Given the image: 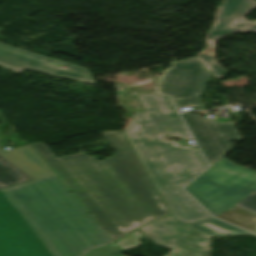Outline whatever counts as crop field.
Segmentation results:
<instances>
[{
  "mask_svg": "<svg viewBox=\"0 0 256 256\" xmlns=\"http://www.w3.org/2000/svg\"><path fill=\"white\" fill-rule=\"evenodd\" d=\"M117 154L99 161L79 153L56 158L42 143L31 144L114 242L167 213L124 132H101Z\"/></svg>",
  "mask_w": 256,
  "mask_h": 256,
  "instance_id": "1",
  "label": "crop field"
},
{
  "mask_svg": "<svg viewBox=\"0 0 256 256\" xmlns=\"http://www.w3.org/2000/svg\"><path fill=\"white\" fill-rule=\"evenodd\" d=\"M137 96L146 113L132 115L124 132L158 192L174 218L185 224L211 218L182 190L186 182L207 167L200 151L162 141L165 134L192 140L169 97Z\"/></svg>",
  "mask_w": 256,
  "mask_h": 256,
  "instance_id": "2",
  "label": "crop field"
},
{
  "mask_svg": "<svg viewBox=\"0 0 256 256\" xmlns=\"http://www.w3.org/2000/svg\"><path fill=\"white\" fill-rule=\"evenodd\" d=\"M3 191L53 256H85L112 242L56 175Z\"/></svg>",
  "mask_w": 256,
  "mask_h": 256,
  "instance_id": "3",
  "label": "crop field"
},
{
  "mask_svg": "<svg viewBox=\"0 0 256 256\" xmlns=\"http://www.w3.org/2000/svg\"><path fill=\"white\" fill-rule=\"evenodd\" d=\"M185 189L215 216L256 190V172L222 158Z\"/></svg>",
  "mask_w": 256,
  "mask_h": 256,
  "instance_id": "4",
  "label": "crop field"
},
{
  "mask_svg": "<svg viewBox=\"0 0 256 256\" xmlns=\"http://www.w3.org/2000/svg\"><path fill=\"white\" fill-rule=\"evenodd\" d=\"M139 229L154 245L171 249L165 256H210L213 237L176 221L172 214Z\"/></svg>",
  "mask_w": 256,
  "mask_h": 256,
  "instance_id": "5",
  "label": "crop field"
},
{
  "mask_svg": "<svg viewBox=\"0 0 256 256\" xmlns=\"http://www.w3.org/2000/svg\"><path fill=\"white\" fill-rule=\"evenodd\" d=\"M0 256H52L2 190Z\"/></svg>",
  "mask_w": 256,
  "mask_h": 256,
  "instance_id": "6",
  "label": "crop field"
},
{
  "mask_svg": "<svg viewBox=\"0 0 256 256\" xmlns=\"http://www.w3.org/2000/svg\"><path fill=\"white\" fill-rule=\"evenodd\" d=\"M210 75L196 58L178 61L164 73L159 92L170 95L179 111L182 107L202 110L198 97L203 93Z\"/></svg>",
  "mask_w": 256,
  "mask_h": 256,
  "instance_id": "7",
  "label": "crop field"
},
{
  "mask_svg": "<svg viewBox=\"0 0 256 256\" xmlns=\"http://www.w3.org/2000/svg\"><path fill=\"white\" fill-rule=\"evenodd\" d=\"M256 7L253 0H224L217 12L215 23L207 35V45L196 58L216 77L225 75L224 69L219 67L212 54L215 43L235 32L256 33V24L247 21L243 16Z\"/></svg>",
  "mask_w": 256,
  "mask_h": 256,
  "instance_id": "8",
  "label": "crop field"
},
{
  "mask_svg": "<svg viewBox=\"0 0 256 256\" xmlns=\"http://www.w3.org/2000/svg\"><path fill=\"white\" fill-rule=\"evenodd\" d=\"M67 67L66 70L60 68ZM0 67L15 73L25 68L50 76L93 84L87 69L0 43Z\"/></svg>",
  "mask_w": 256,
  "mask_h": 256,
  "instance_id": "9",
  "label": "crop field"
},
{
  "mask_svg": "<svg viewBox=\"0 0 256 256\" xmlns=\"http://www.w3.org/2000/svg\"><path fill=\"white\" fill-rule=\"evenodd\" d=\"M181 114L211 166L232 150L229 141L239 139L231 122L219 124L197 115Z\"/></svg>",
  "mask_w": 256,
  "mask_h": 256,
  "instance_id": "10",
  "label": "crop field"
},
{
  "mask_svg": "<svg viewBox=\"0 0 256 256\" xmlns=\"http://www.w3.org/2000/svg\"><path fill=\"white\" fill-rule=\"evenodd\" d=\"M0 153L35 179L55 174L31 145L13 150L0 148Z\"/></svg>",
  "mask_w": 256,
  "mask_h": 256,
  "instance_id": "11",
  "label": "crop field"
},
{
  "mask_svg": "<svg viewBox=\"0 0 256 256\" xmlns=\"http://www.w3.org/2000/svg\"><path fill=\"white\" fill-rule=\"evenodd\" d=\"M215 217L256 233V215L237 207H233Z\"/></svg>",
  "mask_w": 256,
  "mask_h": 256,
  "instance_id": "12",
  "label": "crop field"
},
{
  "mask_svg": "<svg viewBox=\"0 0 256 256\" xmlns=\"http://www.w3.org/2000/svg\"><path fill=\"white\" fill-rule=\"evenodd\" d=\"M193 228H196L204 233H207L213 237L222 235H237V234H249L236 227L217 221L213 218L187 224Z\"/></svg>",
  "mask_w": 256,
  "mask_h": 256,
  "instance_id": "13",
  "label": "crop field"
},
{
  "mask_svg": "<svg viewBox=\"0 0 256 256\" xmlns=\"http://www.w3.org/2000/svg\"><path fill=\"white\" fill-rule=\"evenodd\" d=\"M29 180L32 178L0 156V189Z\"/></svg>",
  "mask_w": 256,
  "mask_h": 256,
  "instance_id": "14",
  "label": "crop field"
},
{
  "mask_svg": "<svg viewBox=\"0 0 256 256\" xmlns=\"http://www.w3.org/2000/svg\"><path fill=\"white\" fill-rule=\"evenodd\" d=\"M141 237V235L135 230L122 240L115 243L119 248H121L123 251L128 250L130 248L136 247L138 245H141V242L138 241V238Z\"/></svg>",
  "mask_w": 256,
  "mask_h": 256,
  "instance_id": "15",
  "label": "crop field"
},
{
  "mask_svg": "<svg viewBox=\"0 0 256 256\" xmlns=\"http://www.w3.org/2000/svg\"><path fill=\"white\" fill-rule=\"evenodd\" d=\"M234 206L256 214V191L248 195L246 198H244Z\"/></svg>",
  "mask_w": 256,
  "mask_h": 256,
  "instance_id": "16",
  "label": "crop field"
},
{
  "mask_svg": "<svg viewBox=\"0 0 256 256\" xmlns=\"http://www.w3.org/2000/svg\"><path fill=\"white\" fill-rule=\"evenodd\" d=\"M123 252L115 244L92 251L88 256H114Z\"/></svg>",
  "mask_w": 256,
  "mask_h": 256,
  "instance_id": "17",
  "label": "crop field"
}]
</instances>
